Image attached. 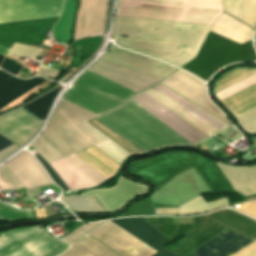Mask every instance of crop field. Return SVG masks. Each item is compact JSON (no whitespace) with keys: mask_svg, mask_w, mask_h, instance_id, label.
Wrapping results in <instances>:
<instances>
[{"mask_svg":"<svg viewBox=\"0 0 256 256\" xmlns=\"http://www.w3.org/2000/svg\"><path fill=\"white\" fill-rule=\"evenodd\" d=\"M102 58L133 67L160 77H167L171 73L177 70V68H174L170 65H167L163 62L153 60L149 57L129 52V51H123L115 46L106 53Z\"/></svg>","mask_w":256,"mask_h":256,"instance_id":"obj_21","label":"crop field"},{"mask_svg":"<svg viewBox=\"0 0 256 256\" xmlns=\"http://www.w3.org/2000/svg\"><path fill=\"white\" fill-rule=\"evenodd\" d=\"M11 144L13 143L0 135V150Z\"/></svg>","mask_w":256,"mask_h":256,"instance_id":"obj_49","label":"crop field"},{"mask_svg":"<svg viewBox=\"0 0 256 256\" xmlns=\"http://www.w3.org/2000/svg\"><path fill=\"white\" fill-rule=\"evenodd\" d=\"M95 146L120 165L124 159L133 156L111 139Z\"/></svg>","mask_w":256,"mask_h":256,"instance_id":"obj_33","label":"crop field"},{"mask_svg":"<svg viewBox=\"0 0 256 256\" xmlns=\"http://www.w3.org/2000/svg\"><path fill=\"white\" fill-rule=\"evenodd\" d=\"M77 243L85 247L86 249L90 250L97 256H118L100 243L96 242L89 236L85 235L81 240Z\"/></svg>","mask_w":256,"mask_h":256,"instance_id":"obj_36","label":"crop field"},{"mask_svg":"<svg viewBox=\"0 0 256 256\" xmlns=\"http://www.w3.org/2000/svg\"><path fill=\"white\" fill-rule=\"evenodd\" d=\"M167 238L176 232L179 224L172 225L171 217H143Z\"/></svg>","mask_w":256,"mask_h":256,"instance_id":"obj_34","label":"crop field"},{"mask_svg":"<svg viewBox=\"0 0 256 256\" xmlns=\"http://www.w3.org/2000/svg\"><path fill=\"white\" fill-rule=\"evenodd\" d=\"M227 205L225 198L205 203L201 195L178 207L179 215L204 213Z\"/></svg>","mask_w":256,"mask_h":256,"instance_id":"obj_29","label":"crop field"},{"mask_svg":"<svg viewBox=\"0 0 256 256\" xmlns=\"http://www.w3.org/2000/svg\"><path fill=\"white\" fill-rule=\"evenodd\" d=\"M51 165L70 189L95 185L118 167L94 147Z\"/></svg>","mask_w":256,"mask_h":256,"instance_id":"obj_11","label":"crop field"},{"mask_svg":"<svg viewBox=\"0 0 256 256\" xmlns=\"http://www.w3.org/2000/svg\"><path fill=\"white\" fill-rule=\"evenodd\" d=\"M211 26L117 17L115 41L128 50L183 66L196 57Z\"/></svg>","mask_w":256,"mask_h":256,"instance_id":"obj_1","label":"crop field"},{"mask_svg":"<svg viewBox=\"0 0 256 256\" xmlns=\"http://www.w3.org/2000/svg\"><path fill=\"white\" fill-rule=\"evenodd\" d=\"M58 241L45 229H40L28 237L7 243L0 249V256H57L68 248Z\"/></svg>","mask_w":256,"mask_h":256,"instance_id":"obj_13","label":"crop field"},{"mask_svg":"<svg viewBox=\"0 0 256 256\" xmlns=\"http://www.w3.org/2000/svg\"><path fill=\"white\" fill-rule=\"evenodd\" d=\"M61 87L47 93L46 95L30 102L26 106L22 107L40 120H44L46 117L54 99L56 98Z\"/></svg>","mask_w":256,"mask_h":256,"instance_id":"obj_30","label":"crop field"},{"mask_svg":"<svg viewBox=\"0 0 256 256\" xmlns=\"http://www.w3.org/2000/svg\"><path fill=\"white\" fill-rule=\"evenodd\" d=\"M85 73L137 90H144L163 78L99 58ZM83 73L63 99L102 115L140 92Z\"/></svg>","mask_w":256,"mask_h":256,"instance_id":"obj_2","label":"crop field"},{"mask_svg":"<svg viewBox=\"0 0 256 256\" xmlns=\"http://www.w3.org/2000/svg\"><path fill=\"white\" fill-rule=\"evenodd\" d=\"M59 256H95V255L76 243L70 249L63 252Z\"/></svg>","mask_w":256,"mask_h":256,"instance_id":"obj_42","label":"crop field"},{"mask_svg":"<svg viewBox=\"0 0 256 256\" xmlns=\"http://www.w3.org/2000/svg\"><path fill=\"white\" fill-rule=\"evenodd\" d=\"M253 242L234 231L219 234L188 256H229Z\"/></svg>","mask_w":256,"mask_h":256,"instance_id":"obj_22","label":"crop field"},{"mask_svg":"<svg viewBox=\"0 0 256 256\" xmlns=\"http://www.w3.org/2000/svg\"><path fill=\"white\" fill-rule=\"evenodd\" d=\"M4 165L20 180L27 190L52 184L40 164L27 151L19 153Z\"/></svg>","mask_w":256,"mask_h":256,"instance_id":"obj_20","label":"crop field"},{"mask_svg":"<svg viewBox=\"0 0 256 256\" xmlns=\"http://www.w3.org/2000/svg\"><path fill=\"white\" fill-rule=\"evenodd\" d=\"M19 148L20 147H18L16 145H12V146L0 151V161L3 160L5 157H7L8 155H10L11 153H13L14 151H16Z\"/></svg>","mask_w":256,"mask_h":256,"instance_id":"obj_47","label":"crop field"},{"mask_svg":"<svg viewBox=\"0 0 256 256\" xmlns=\"http://www.w3.org/2000/svg\"><path fill=\"white\" fill-rule=\"evenodd\" d=\"M2 59H3V56L0 55V62L2 61Z\"/></svg>","mask_w":256,"mask_h":256,"instance_id":"obj_51","label":"crop field"},{"mask_svg":"<svg viewBox=\"0 0 256 256\" xmlns=\"http://www.w3.org/2000/svg\"><path fill=\"white\" fill-rule=\"evenodd\" d=\"M147 187L124 179L120 176L118 184L109 189H94L81 193V196L96 197L100 204L108 211L119 209L127 200L146 193ZM148 191V190H147Z\"/></svg>","mask_w":256,"mask_h":256,"instance_id":"obj_18","label":"crop field"},{"mask_svg":"<svg viewBox=\"0 0 256 256\" xmlns=\"http://www.w3.org/2000/svg\"><path fill=\"white\" fill-rule=\"evenodd\" d=\"M232 256H256V241Z\"/></svg>","mask_w":256,"mask_h":256,"instance_id":"obj_46","label":"crop field"},{"mask_svg":"<svg viewBox=\"0 0 256 256\" xmlns=\"http://www.w3.org/2000/svg\"><path fill=\"white\" fill-rule=\"evenodd\" d=\"M88 235L120 256H151L156 252L110 221L102 222Z\"/></svg>","mask_w":256,"mask_h":256,"instance_id":"obj_12","label":"crop field"},{"mask_svg":"<svg viewBox=\"0 0 256 256\" xmlns=\"http://www.w3.org/2000/svg\"><path fill=\"white\" fill-rule=\"evenodd\" d=\"M160 83L186 97L226 124H230L223 114L209 102L205 84L200 79L179 69Z\"/></svg>","mask_w":256,"mask_h":256,"instance_id":"obj_14","label":"crop field"},{"mask_svg":"<svg viewBox=\"0 0 256 256\" xmlns=\"http://www.w3.org/2000/svg\"><path fill=\"white\" fill-rule=\"evenodd\" d=\"M235 208L256 217V201L248 202V203H241V204L236 205Z\"/></svg>","mask_w":256,"mask_h":256,"instance_id":"obj_45","label":"crop field"},{"mask_svg":"<svg viewBox=\"0 0 256 256\" xmlns=\"http://www.w3.org/2000/svg\"><path fill=\"white\" fill-rule=\"evenodd\" d=\"M206 216L256 240V223L241 215L225 209Z\"/></svg>","mask_w":256,"mask_h":256,"instance_id":"obj_25","label":"crop field"},{"mask_svg":"<svg viewBox=\"0 0 256 256\" xmlns=\"http://www.w3.org/2000/svg\"><path fill=\"white\" fill-rule=\"evenodd\" d=\"M255 60L252 41L239 45L209 32L197 57L181 68L207 81L218 69L227 64Z\"/></svg>","mask_w":256,"mask_h":256,"instance_id":"obj_9","label":"crop field"},{"mask_svg":"<svg viewBox=\"0 0 256 256\" xmlns=\"http://www.w3.org/2000/svg\"><path fill=\"white\" fill-rule=\"evenodd\" d=\"M218 96L234 112L256 103V71L237 69L217 83ZM244 127L256 131V104L236 113Z\"/></svg>","mask_w":256,"mask_h":256,"instance_id":"obj_10","label":"crop field"},{"mask_svg":"<svg viewBox=\"0 0 256 256\" xmlns=\"http://www.w3.org/2000/svg\"><path fill=\"white\" fill-rule=\"evenodd\" d=\"M59 73H60V71L53 70L43 64H41V66L38 70V75L53 78V79H56V77L59 75Z\"/></svg>","mask_w":256,"mask_h":256,"instance_id":"obj_44","label":"crop field"},{"mask_svg":"<svg viewBox=\"0 0 256 256\" xmlns=\"http://www.w3.org/2000/svg\"><path fill=\"white\" fill-rule=\"evenodd\" d=\"M77 3L73 0H66L63 15L53 28V36L59 43H67L71 38L72 22Z\"/></svg>","mask_w":256,"mask_h":256,"instance_id":"obj_28","label":"crop field"},{"mask_svg":"<svg viewBox=\"0 0 256 256\" xmlns=\"http://www.w3.org/2000/svg\"><path fill=\"white\" fill-rule=\"evenodd\" d=\"M211 32L222 35L239 44L252 40L254 33L252 28L225 13L214 23Z\"/></svg>","mask_w":256,"mask_h":256,"instance_id":"obj_24","label":"crop field"},{"mask_svg":"<svg viewBox=\"0 0 256 256\" xmlns=\"http://www.w3.org/2000/svg\"><path fill=\"white\" fill-rule=\"evenodd\" d=\"M7 52H8V49H6V48L0 46V54H2V55L5 56Z\"/></svg>","mask_w":256,"mask_h":256,"instance_id":"obj_50","label":"crop field"},{"mask_svg":"<svg viewBox=\"0 0 256 256\" xmlns=\"http://www.w3.org/2000/svg\"><path fill=\"white\" fill-rule=\"evenodd\" d=\"M216 1H221V0H216Z\"/></svg>","mask_w":256,"mask_h":256,"instance_id":"obj_52","label":"crop field"},{"mask_svg":"<svg viewBox=\"0 0 256 256\" xmlns=\"http://www.w3.org/2000/svg\"><path fill=\"white\" fill-rule=\"evenodd\" d=\"M23 187L18 180L3 165L0 167V189L2 191L10 189L11 191Z\"/></svg>","mask_w":256,"mask_h":256,"instance_id":"obj_37","label":"crop field"},{"mask_svg":"<svg viewBox=\"0 0 256 256\" xmlns=\"http://www.w3.org/2000/svg\"><path fill=\"white\" fill-rule=\"evenodd\" d=\"M1 68H3V69H5V70H7V71H9V72H11V73L16 75L17 72L22 68V65H20V64H18L16 62H13V61H11L10 59H8L6 57V59L4 60L3 64L1 65Z\"/></svg>","mask_w":256,"mask_h":256,"instance_id":"obj_43","label":"crop field"},{"mask_svg":"<svg viewBox=\"0 0 256 256\" xmlns=\"http://www.w3.org/2000/svg\"><path fill=\"white\" fill-rule=\"evenodd\" d=\"M97 119L145 152L165 146L191 145L129 100Z\"/></svg>","mask_w":256,"mask_h":256,"instance_id":"obj_6","label":"crop field"},{"mask_svg":"<svg viewBox=\"0 0 256 256\" xmlns=\"http://www.w3.org/2000/svg\"><path fill=\"white\" fill-rule=\"evenodd\" d=\"M108 0H81L74 40L103 35Z\"/></svg>","mask_w":256,"mask_h":256,"instance_id":"obj_17","label":"crop field"},{"mask_svg":"<svg viewBox=\"0 0 256 256\" xmlns=\"http://www.w3.org/2000/svg\"><path fill=\"white\" fill-rule=\"evenodd\" d=\"M193 219L195 224L180 225L178 231L169 237L173 241L186 234V236L176 247L170 248L180 256H185L196 247L226 228L203 216L195 217Z\"/></svg>","mask_w":256,"mask_h":256,"instance_id":"obj_15","label":"crop field"},{"mask_svg":"<svg viewBox=\"0 0 256 256\" xmlns=\"http://www.w3.org/2000/svg\"><path fill=\"white\" fill-rule=\"evenodd\" d=\"M64 204L68 205L74 211L80 212H104L101 206L94 199H87L80 196H67L60 198ZM67 206V207H68Z\"/></svg>","mask_w":256,"mask_h":256,"instance_id":"obj_31","label":"crop field"},{"mask_svg":"<svg viewBox=\"0 0 256 256\" xmlns=\"http://www.w3.org/2000/svg\"><path fill=\"white\" fill-rule=\"evenodd\" d=\"M224 12L242 21V0H222ZM243 22L252 28L256 26V0H243Z\"/></svg>","mask_w":256,"mask_h":256,"instance_id":"obj_27","label":"crop field"},{"mask_svg":"<svg viewBox=\"0 0 256 256\" xmlns=\"http://www.w3.org/2000/svg\"><path fill=\"white\" fill-rule=\"evenodd\" d=\"M45 80L46 79L40 77L21 80L0 70V108L9 104Z\"/></svg>","mask_w":256,"mask_h":256,"instance_id":"obj_23","label":"crop field"},{"mask_svg":"<svg viewBox=\"0 0 256 256\" xmlns=\"http://www.w3.org/2000/svg\"><path fill=\"white\" fill-rule=\"evenodd\" d=\"M0 219L3 220H21L32 219L31 211H20L0 202Z\"/></svg>","mask_w":256,"mask_h":256,"instance_id":"obj_35","label":"crop field"},{"mask_svg":"<svg viewBox=\"0 0 256 256\" xmlns=\"http://www.w3.org/2000/svg\"><path fill=\"white\" fill-rule=\"evenodd\" d=\"M42 123L20 108L0 117V134L21 146L35 135Z\"/></svg>","mask_w":256,"mask_h":256,"instance_id":"obj_16","label":"crop field"},{"mask_svg":"<svg viewBox=\"0 0 256 256\" xmlns=\"http://www.w3.org/2000/svg\"><path fill=\"white\" fill-rule=\"evenodd\" d=\"M112 222L156 250L157 252L152 256H177L162 247L170 241L142 217L124 218Z\"/></svg>","mask_w":256,"mask_h":256,"instance_id":"obj_19","label":"crop field"},{"mask_svg":"<svg viewBox=\"0 0 256 256\" xmlns=\"http://www.w3.org/2000/svg\"><path fill=\"white\" fill-rule=\"evenodd\" d=\"M91 125L96 127L98 130L106 134L108 137L113 139L115 142H117L119 145H121L123 148H125L127 151H129L133 155H138L140 153H144L142 150L128 142L126 139H124L121 135L116 133L115 131L109 129L108 127L104 126L102 123H100L96 118L88 121Z\"/></svg>","mask_w":256,"mask_h":256,"instance_id":"obj_32","label":"crop field"},{"mask_svg":"<svg viewBox=\"0 0 256 256\" xmlns=\"http://www.w3.org/2000/svg\"><path fill=\"white\" fill-rule=\"evenodd\" d=\"M42 226V225H40ZM40 226H33V227H25L19 228L15 230H11L8 232L0 233V247L7 243L12 238H21L33 232L34 230L38 229Z\"/></svg>","mask_w":256,"mask_h":256,"instance_id":"obj_39","label":"crop field"},{"mask_svg":"<svg viewBox=\"0 0 256 256\" xmlns=\"http://www.w3.org/2000/svg\"><path fill=\"white\" fill-rule=\"evenodd\" d=\"M194 164L213 190H236L244 196L256 194V166L227 167L191 152L177 151L158 155L142 163L134 164L129 172L149 179L156 185L166 181L179 170Z\"/></svg>","mask_w":256,"mask_h":256,"instance_id":"obj_3","label":"crop field"},{"mask_svg":"<svg viewBox=\"0 0 256 256\" xmlns=\"http://www.w3.org/2000/svg\"><path fill=\"white\" fill-rule=\"evenodd\" d=\"M153 87L159 90L160 92H162L163 94H165L166 96L170 97L171 99H173L174 101H176L177 103H179L180 105H182L183 107H185L186 109H188L189 111H191L192 113L200 117L201 119L205 120L206 122H208L209 124L217 128L218 130L221 131L227 127V125L224 124L222 121L215 118L214 116L204 111L203 109L199 108L198 106L194 105L189 100L185 99L184 97L172 91L171 89L165 87L164 85L158 83L153 85Z\"/></svg>","mask_w":256,"mask_h":256,"instance_id":"obj_26","label":"crop field"},{"mask_svg":"<svg viewBox=\"0 0 256 256\" xmlns=\"http://www.w3.org/2000/svg\"><path fill=\"white\" fill-rule=\"evenodd\" d=\"M41 51H42L41 48L25 46V45L14 43L8 55L25 56V57L36 60L37 56Z\"/></svg>","mask_w":256,"mask_h":256,"instance_id":"obj_38","label":"crop field"},{"mask_svg":"<svg viewBox=\"0 0 256 256\" xmlns=\"http://www.w3.org/2000/svg\"><path fill=\"white\" fill-rule=\"evenodd\" d=\"M64 0H0V24L61 13ZM58 15L0 25V45L10 48L14 42L42 43L52 47L45 39ZM60 17V16H59Z\"/></svg>","mask_w":256,"mask_h":256,"instance_id":"obj_5","label":"crop field"},{"mask_svg":"<svg viewBox=\"0 0 256 256\" xmlns=\"http://www.w3.org/2000/svg\"><path fill=\"white\" fill-rule=\"evenodd\" d=\"M156 214H177V208H155Z\"/></svg>","mask_w":256,"mask_h":256,"instance_id":"obj_48","label":"crop field"},{"mask_svg":"<svg viewBox=\"0 0 256 256\" xmlns=\"http://www.w3.org/2000/svg\"><path fill=\"white\" fill-rule=\"evenodd\" d=\"M153 88V87H152ZM151 89V88H150ZM154 89V88H153ZM156 90V89H154ZM154 90H149L140 96L132 99L131 101L137 103L142 108H144L146 111L151 113L153 116H155L157 119H159L161 122L166 124L168 127H170L172 130L177 132L179 135H181L183 138H185L187 141H189L191 144L196 143L203 138L209 136L214 131L216 134L220 131L206 123L205 121L201 120L170 98L166 97L159 91L162 96L167 98L169 101L177 105L179 108L184 110L186 113L194 117L196 120L207 126L209 129H207L205 126L200 124L198 121L193 119L191 116L186 114L184 111L179 109L177 106L169 102L167 99L162 97L160 94L155 92ZM211 136V135H210Z\"/></svg>","mask_w":256,"mask_h":256,"instance_id":"obj_8","label":"crop field"},{"mask_svg":"<svg viewBox=\"0 0 256 256\" xmlns=\"http://www.w3.org/2000/svg\"><path fill=\"white\" fill-rule=\"evenodd\" d=\"M97 116L61 99L45 131L31 146L50 163L107 140L86 122Z\"/></svg>","mask_w":256,"mask_h":256,"instance_id":"obj_4","label":"crop field"},{"mask_svg":"<svg viewBox=\"0 0 256 256\" xmlns=\"http://www.w3.org/2000/svg\"><path fill=\"white\" fill-rule=\"evenodd\" d=\"M35 157L38 159L41 165L48 172L50 178L55 182V184L59 186L62 189V191L68 190L67 187L64 185L63 181L56 174V172L50 167V165L39 154L35 155Z\"/></svg>","mask_w":256,"mask_h":256,"instance_id":"obj_41","label":"crop field"},{"mask_svg":"<svg viewBox=\"0 0 256 256\" xmlns=\"http://www.w3.org/2000/svg\"><path fill=\"white\" fill-rule=\"evenodd\" d=\"M222 3L203 0H119L117 16L213 25Z\"/></svg>","mask_w":256,"mask_h":256,"instance_id":"obj_7","label":"crop field"},{"mask_svg":"<svg viewBox=\"0 0 256 256\" xmlns=\"http://www.w3.org/2000/svg\"><path fill=\"white\" fill-rule=\"evenodd\" d=\"M100 222L98 223H92V224H84L78 229H76L74 232L71 234L65 236L61 240L68 243L70 246L76 242L78 239H80L84 234H86L88 231L92 230L96 226H98Z\"/></svg>","mask_w":256,"mask_h":256,"instance_id":"obj_40","label":"crop field"}]
</instances>
